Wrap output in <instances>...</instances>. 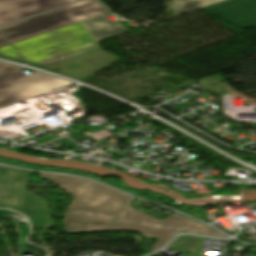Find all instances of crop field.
<instances>
[{"instance_id": "crop-field-2", "label": "crop field", "mask_w": 256, "mask_h": 256, "mask_svg": "<svg viewBox=\"0 0 256 256\" xmlns=\"http://www.w3.org/2000/svg\"><path fill=\"white\" fill-rule=\"evenodd\" d=\"M0 57L79 80L120 59L101 50L82 21L0 48Z\"/></svg>"}, {"instance_id": "crop-field-9", "label": "crop field", "mask_w": 256, "mask_h": 256, "mask_svg": "<svg viewBox=\"0 0 256 256\" xmlns=\"http://www.w3.org/2000/svg\"><path fill=\"white\" fill-rule=\"evenodd\" d=\"M219 1L222 0H173L171 1V8L177 15H180Z\"/></svg>"}, {"instance_id": "crop-field-12", "label": "crop field", "mask_w": 256, "mask_h": 256, "mask_svg": "<svg viewBox=\"0 0 256 256\" xmlns=\"http://www.w3.org/2000/svg\"><path fill=\"white\" fill-rule=\"evenodd\" d=\"M9 45L8 41L5 39V37L0 32V47Z\"/></svg>"}, {"instance_id": "crop-field-5", "label": "crop field", "mask_w": 256, "mask_h": 256, "mask_svg": "<svg viewBox=\"0 0 256 256\" xmlns=\"http://www.w3.org/2000/svg\"><path fill=\"white\" fill-rule=\"evenodd\" d=\"M71 82L34 71L26 76L21 69L0 75V107L24 100Z\"/></svg>"}, {"instance_id": "crop-field-3", "label": "crop field", "mask_w": 256, "mask_h": 256, "mask_svg": "<svg viewBox=\"0 0 256 256\" xmlns=\"http://www.w3.org/2000/svg\"><path fill=\"white\" fill-rule=\"evenodd\" d=\"M109 12L96 0H85L3 28L1 32L10 42L17 41Z\"/></svg>"}, {"instance_id": "crop-field-13", "label": "crop field", "mask_w": 256, "mask_h": 256, "mask_svg": "<svg viewBox=\"0 0 256 256\" xmlns=\"http://www.w3.org/2000/svg\"><path fill=\"white\" fill-rule=\"evenodd\" d=\"M69 138H71L72 140L76 141L78 139H82L83 137H81L80 135H72Z\"/></svg>"}, {"instance_id": "crop-field-11", "label": "crop field", "mask_w": 256, "mask_h": 256, "mask_svg": "<svg viewBox=\"0 0 256 256\" xmlns=\"http://www.w3.org/2000/svg\"><path fill=\"white\" fill-rule=\"evenodd\" d=\"M57 142H59L60 144H64V145H66L69 148H71V147L76 145V144L72 143V141L68 140L67 138H63V139L57 140Z\"/></svg>"}, {"instance_id": "crop-field-10", "label": "crop field", "mask_w": 256, "mask_h": 256, "mask_svg": "<svg viewBox=\"0 0 256 256\" xmlns=\"http://www.w3.org/2000/svg\"><path fill=\"white\" fill-rule=\"evenodd\" d=\"M17 68L19 67L0 62V74Z\"/></svg>"}, {"instance_id": "crop-field-4", "label": "crop field", "mask_w": 256, "mask_h": 256, "mask_svg": "<svg viewBox=\"0 0 256 256\" xmlns=\"http://www.w3.org/2000/svg\"><path fill=\"white\" fill-rule=\"evenodd\" d=\"M27 177V171L0 167V207L28 216L32 227L36 224L37 227L51 228L53 223L43 198L38 207L39 197L28 192L26 210L23 211ZM33 198H35L34 206H32Z\"/></svg>"}, {"instance_id": "crop-field-7", "label": "crop field", "mask_w": 256, "mask_h": 256, "mask_svg": "<svg viewBox=\"0 0 256 256\" xmlns=\"http://www.w3.org/2000/svg\"><path fill=\"white\" fill-rule=\"evenodd\" d=\"M203 9L239 27L256 26V0H225Z\"/></svg>"}, {"instance_id": "crop-field-1", "label": "crop field", "mask_w": 256, "mask_h": 256, "mask_svg": "<svg viewBox=\"0 0 256 256\" xmlns=\"http://www.w3.org/2000/svg\"><path fill=\"white\" fill-rule=\"evenodd\" d=\"M40 176L75 196L60 220L67 234L131 230L141 233L144 238L159 239L152 250L161 247L182 230L225 237L208 226L178 214H171L167 220H158L130 207L133 201L131 197L92 181L61 174L40 173Z\"/></svg>"}, {"instance_id": "crop-field-6", "label": "crop field", "mask_w": 256, "mask_h": 256, "mask_svg": "<svg viewBox=\"0 0 256 256\" xmlns=\"http://www.w3.org/2000/svg\"><path fill=\"white\" fill-rule=\"evenodd\" d=\"M78 0H0V26Z\"/></svg>"}, {"instance_id": "crop-field-8", "label": "crop field", "mask_w": 256, "mask_h": 256, "mask_svg": "<svg viewBox=\"0 0 256 256\" xmlns=\"http://www.w3.org/2000/svg\"><path fill=\"white\" fill-rule=\"evenodd\" d=\"M83 22L93 34L96 41H101L128 31L120 24L111 21L103 15L84 20Z\"/></svg>"}, {"instance_id": "crop-field-14", "label": "crop field", "mask_w": 256, "mask_h": 256, "mask_svg": "<svg viewBox=\"0 0 256 256\" xmlns=\"http://www.w3.org/2000/svg\"><path fill=\"white\" fill-rule=\"evenodd\" d=\"M3 146V144H0V147H2Z\"/></svg>"}]
</instances>
